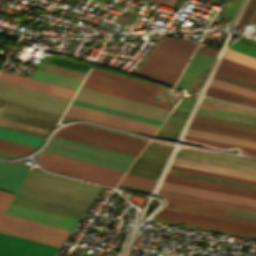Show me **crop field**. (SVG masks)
I'll list each match as a JSON object with an SVG mask.
<instances>
[{
    "mask_svg": "<svg viewBox=\"0 0 256 256\" xmlns=\"http://www.w3.org/2000/svg\"><path fill=\"white\" fill-rule=\"evenodd\" d=\"M214 57L196 51L187 69L183 73L177 87L187 90L192 83L211 64Z\"/></svg>",
    "mask_w": 256,
    "mask_h": 256,
    "instance_id": "92a150f3",
    "label": "crop field"
},
{
    "mask_svg": "<svg viewBox=\"0 0 256 256\" xmlns=\"http://www.w3.org/2000/svg\"><path fill=\"white\" fill-rule=\"evenodd\" d=\"M215 74L256 86V69L221 58Z\"/></svg>",
    "mask_w": 256,
    "mask_h": 256,
    "instance_id": "bc2a9ffb",
    "label": "crop field"
},
{
    "mask_svg": "<svg viewBox=\"0 0 256 256\" xmlns=\"http://www.w3.org/2000/svg\"><path fill=\"white\" fill-rule=\"evenodd\" d=\"M189 128H191V129H197V130H203V131H208V132H214V133H220V134H226V135H231V136H236V137H241V138H245V139H250V140H255V141H256V138L245 137V136L236 135V134H231V133L222 132V131H217V130H213V129L200 128V127H193V126H190Z\"/></svg>",
    "mask_w": 256,
    "mask_h": 256,
    "instance_id": "c035e120",
    "label": "crop field"
},
{
    "mask_svg": "<svg viewBox=\"0 0 256 256\" xmlns=\"http://www.w3.org/2000/svg\"><path fill=\"white\" fill-rule=\"evenodd\" d=\"M196 113L256 125V120H253V119L237 117V116H232V115H227V114H221V113H216V112H211V111H205V110H200V109H198Z\"/></svg>",
    "mask_w": 256,
    "mask_h": 256,
    "instance_id": "5866460e",
    "label": "crop field"
},
{
    "mask_svg": "<svg viewBox=\"0 0 256 256\" xmlns=\"http://www.w3.org/2000/svg\"><path fill=\"white\" fill-rule=\"evenodd\" d=\"M206 93L215 95V96H219V97H223V98H227V99H231V100H235V101H239V102H243V103L256 105V99H254V98L246 97L243 95H239L236 93L228 92V91L210 87V86L208 87Z\"/></svg>",
    "mask_w": 256,
    "mask_h": 256,
    "instance_id": "eef30255",
    "label": "crop field"
},
{
    "mask_svg": "<svg viewBox=\"0 0 256 256\" xmlns=\"http://www.w3.org/2000/svg\"><path fill=\"white\" fill-rule=\"evenodd\" d=\"M175 1H176V0H167V2L165 3V5L172 7V5L174 4Z\"/></svg>",
    "mask_w": 256,
    "mask_h": 256,
    "instance_id": "d23c7cc5",
    "label": "crop field"
},
{
    "mask_svg": "<svg viewBox=\"0 0 256 256\" xmlns=\"http://www.w3.org/2000/svg\"><path fill=\"white\" fill-rule=\"evenodd\" d=\"M32 78L37 79V80L47 81L50 83H54V84L68 87V88L75 89V90H77L78 86L81 83V80L45 72V71L38 70V69H36Z\"/></svg>",
    "mask_w": 256,
    "mask_h": 256,
    "instance_id": "a9b5d70f",
    "label": "crop field"
},
{
    "mask_svg": "<svg viewBox=\"0 0 256 256\" xmlns=\"http://www.w3.org/2000/svg\"><path fill=\"white\" fill-rule=\"evenodd\" d=\"M229 48L256 58V48L235 41Z\"/></svg>",
    "mask_w": 256,
    "mask_h": 256,
    "instance_id": "e1f06a70",
    "label": "crop field"
},
{
    "mask_svg": "<svg viewBox=\"0 0 256 256\" xmlns=\"http://www.w3.org/2000/svg\"><path fill=\"white\" fill-rule=\"evenodd\" d=\"M27 171V168L0 161V188L15 192Z\"/></svg>",
    "mask_w": 256,
    "mask_h": 256,
    "instance_id": "dafd665d",
    "label": "crop field"
},
{
    "mask_svg": "<svg viewBox=\"0 0 256 256\" xmlns=\"http://www.w3.org/2000/svg\"><path fill=\"white\" fill-rule=\"evenodd\" d=\"M0 81L12 83L15 85L31 88L34 90L50 93L53 95H57V96H61L69 99H71V97L75 93V90L63 88L60 86L48 84L41 81H31L26 78L15 77V76H11L1 72H0Z\"/></svg>",
    "mask_w": 256,
    "mask_h": 256,
    "instance_id": "214f88e0",
    "label": "crop field"
},
{
    "mask_svg": "<svg viewBox=\"0 0 256 256\" xmlns=\"http://www.w3.org/2000/svg\"><path fill=\"white\" fill-rule=\"evenodd\" d=\"M198 51L204 52V53L212 55V56H215V54L217 52V50L202 47V46H199Z\"/></svg>",
    "mask_w": 256,
    "mask_h": 256,
    "instance_id": "c21b1889",
    "label": "crop field"
},
{
    "mask_svg": "<svg viewBox=\"0 0 256 256\" xmlns=\"http://www.w3.org/2000/svg\"><path fill=\"white\" fill-rule=\"evenodd\" d=\"M155 180L125 174L120 182L151 189Z\"/></svg>",
    "mask_w": 256,
    "mask_h": 256,
    "instance_id": "d32e631a",
    "label": "crop field"
},
{
    "mask_svg": "<svg viewBox=\"0 0 256 256\" xmlns=\"http://www.w3.org/2000/svg\"><path fill=\"white\" fill-rule=\"evenodd\" d=\"M18 193L38 197L41 199L61 203L64 205L80 208L86 210L88 205L91 203L90 200L62 194V193H57L29 185L22 184L20 189L18 190Z\"/></svg>",
    "mask_w": 256,
    "mask_h": 256,
    "instance_id": "733c2abd",
    "label": "crop field"
},
{
    "mask_svg": "<svg viewBox=\"0 0 256 256\" xmlns=\"http://www.w3.org/2000/svg\"><path fill=\"white\" fill-rule=\"evenodd\" d=\"M0 138L35 146V147L40 146L45 141V138L21 133L18 131H14V130L2 128V127H0Z\"/></svg>",
    "mask_w": 256,
    "mask_h": 256,
    "instance_id": "4177f3b9",
    "label": "crop field"
},
{
    "mask_svg": "<svg viewBox=\"0 0 256 256\" xmlns=\"http://www.w3.org/2000/svg\"><path fill=\"white\" fill-rule=\"evenodd\" d=\"M11 197H12V194L0 192V200H4V201H8L9 202Z\"/></svg>",
    "mask_w": 256,
    "mask_h": 256,
    "instance_id": "03da06ac",
    "label": "crop field"
},
{
    "mask_svg": "<svg viewBox=\"0 0 256 256\" xmlns=\"http://www.w3.org/2000/svg\"><path fill=\"white\" fill-rule=\"evenodd\" d=\"M0 232L60 247L69 231L3 215Z\"/></svg>",
    "mask_w": 256,
    "mask_h": 256,
    "instance_id": "5a996713",
    "label": "crop field"
},
{
    "mask_svg": "<svg viewBox=\"0 0 256 256\" xmlns=\"http://www.w3.org/2000/svg\"><path fill=\"white\" fill-rule=\"evenodd\" d=\"M43 152L125 172L135 156L52 136Z\"/></svg>",
    "mask_w": 256,
    "mask_h": 256,
    "instance_id": "ac0d7876",
    "label": "crop field"
},
{
    "mask_svg": "<svg viewBox=\"0 0 256 256\" xmlns=\"http://www.w3.org/2000/svg\"><path fill=\"white\" fill-rule=\"evenodd\" d=\"M184 138L192 140V141H196V142H199V143H203V144H206V145H210V146H213V147H217V148H233V147H238V148L241 149L242 153L248 154V155H252V156H256V149L242 147V146H237V145H231V144H226V143H221V142H215V141H210V140H205V139L187 137V136H185Z\"/></svg>",
    "mask_w": 256,
    "mask_h": 256,
    "instance_id": "ae1a2a85",
    "label": "crop field"
},
{
    "mask_svg": "<svg viewBox=\"0 0 256 256\" xmlns=\"http://www.w3.org/2000/svg\"><path fill=\"white\" fill-rule=\"evenodd\" d=\"M72 103L77 104V105H81V106H85V107H89V108H93V109H96V110L104 111V112H107V113L127 117V118H130V119H134V120H138V121L158 125V126H160V124H161L160 122H157V121H153V120H149V119H145V118H141V117L121 113V112H118V111H114V110H110V109H106V108H102V107H98V106H94V105H90V104H86V103H82V102H78V101H74V100L72 101Z\"/></svg>",
    "mask_w": 256,
    "mask_h": 256,
    "instance_id": "750c4746",
    "label": "crop field"
},
{
    "mask_svg": "<svg viewBox=\"0 0 256 256\" xmlns=\"http://www.w3.org/2000/svg\"><path fill=\"white\" fill-rule=\"evenodd\" d=\"M82 102L118 110L121 112L157 120L163 122L169 109L160 108L88 89H79L77 95L74 98Z\"/></svg>",
    "mask_w": 256,
    "mask_h": 256,
    "instance_id": "e52e79f7",
    "label": "crop field"
},
{
    "mask_svg": "<svg viewBox=\"0 0 256 256\" xmlns=\"http://www.w3.org/2000/svg\"><path fill=\"white\" fill-rule=\"evenodd\" d=\"M0 149L25 155L36 148L0 139Z\"/></svg>",
    "mask_w": 256,
    "mask_h": 256,
    "instance_id": "bd1437ed",
    "label": "crop field"
},
{
    "mask_svg": "<svg viewBox=\"0 0 256 256\" xmlns=\"http://www.w3.org/2000/svg\"><path fill=\"white\" fill-rule=\"evenodd\" d=\"M210 86L218 87L221 89L229 90L232 92H236L239 94H243V95H247V96L256 98L255 91L248 90V89L236 86V85H232V84H229V83H226V82L214 79V78L212 79Z\"/></svg>",
    "mask_w": 256,
    "mask_h": 256,
    "instance_id": "d3111659",
    "label": "crop field"
},
{
    "mask_svg": "<svg viewBox=\"0 0 256 256\" xmlns=\"http://www.w3.org/2000/svg\"><path fill=\"white\" fill-rule=\"evenodd\" d=\"M252 20L256 21V12H255V14L252 17Z\"/></svg>",
    "mask_w": 256,
    "mask_h": 256,
    "instance_id": "25e5ab78",
    "label": "crop field"
},
{
    "mask_svg": "<svg viewBox=\"0 0 256 256\" xmlns=\"http://www.w3.org/2000/svg\"><path fill=\"white\" fill-rule=\"evenodd\" d=\"M196 118H201V119H206V120H211V119H207V118H202V117H197V116H194ZM211 121H216V120H211ZM217 122H221V121H217ZM222 123H226V122H222ZM227 124H231V123H227ZM232 125H235V124H232ZM237 126H240V125H237ZM242 127H245V126H242ZM247 128H252V127H247ZM253 129H256V128H253Z\"/></svg>",
    "mask_w": 256,
    "mask_h": 256,
    "instance_id": "5d738f31",
    "label": "crop field"
},
{
    "mask_svg": "<svg viewBox=\"0 0 256 256\" xmlns=\"http://www.w3.org/2000/svg\"><path fill=\"white\" fill-rule=\"evenodd\" d=\"M171 169H176V170H181L193 174H199V175H205V176H211V177H217V178H223V179H229V180H234V181H239V182H244V183H249V184H254L256 185L255 181H250V180H245V179H240V178H235L231 176H226V175H221V174H216V173H211V172H205V171H199V170H194V169H189V168H183V167H178V166H170Z\"/></svg>",
    "mask_w": 256,
    "mask_h": 256,
    "instance_id": "1d83c4d3",
    "label": "crop field"
},
{
    "mask_svg": "<svg viewBox=\"0 0 256 256\" xmlns=\"http://www.w3.org/2000/svg\"><path fill=\"white\" fill-rule=\"evenodd\" d=\"M55 135L135 156L138 155L146 144L144 140L80 124L68 125L56 132Z\"/></svg>",
    "mask_w": 256,
    "mask_h": 256,
    "instance_id": "dd49c442",
    "label": "crop field"
},
{
    "mask_svg": "<svg viewBox=\"0 0 256 256\" xmlns=\"http://www.w3.org/2000/svg\"><path fill=\"white\" fill-rule=\"evenodd\" d=\"M25 184L93 200L101 187L31 169Z\"/></svg>",
    "mask_w": 256,
    "mask_h": 256,
    "instance_id": "3316defc",
    "label": "crop field"
},
{
    "mask_svg": "<svg viewBox=\"0 0 256 256\" xmlns=\"http://www.w3.org/2000/svg\"><path fill=\"white\" fill-rule=\"evenodd\" d=\"M171 164L194 168V169H199V170L211 171V172H216V173H221V174H226V175H231V176H235V177H240V178H245V179H250V180L256 181V174H252V173H246V172H241V171L213 167V166H209V165H205V164H201V163L183 161V160H179V159H175V158L173 159Z\"/></svg>",
    "mask_w": 256,
    "mask_h": 256,
    "instance_id": "00972430",
    "label": "crop field"
},
{
    "mask_svg": "<svg viewBox=\"0 0 256 256\" xmlns=\"http://www.w3.org/2000/svg\"><path fill=\"white\" fill-rule=\"evenodd\" d=\"M223 57H226L228 59L237 61L239 63L251 66L253 68H256V59L255 58L246 56L244 54H241V53H238L236 51L230 50L228 48L225 50V52L223 54Z\"/></svg>",
    "mask_w": 256,
    "mask_h": 256,
    "instance_id": "120bbe31",
    "label": "crop field"
},
{
    "mask_svg": "<svg viewBox=\"0 0 256 256\" xmlns=\"http://www.w3.org/2000/svg\"><path fill=\"white\" fill-rule=\"evenodd\" d=\"M44 70L69 76V77H73V78H77V79H81V80H83L85 76V73H81V72H77V71H73V70H69V69H65V68H61V67H57L49 64H47Z\"/></svg>",
    "mask_w": 256,
    "mask_h": 256,
    "instance_id": "028f5c9d",
    "label": "crop field"
},
{
    "mask_svg": "<svg viewBox=\"0 0 256 256\" xmlns=\"http://www.w3.org/2000/svg\"><path fill=\"white\" fill-rule=\"evenodd\" d=\"M48 171L114 188L122 172L41 152L37 161Z\"/></svg>",
    "mask_w": 256,
    "mask_h": 256,
    "instance_id": "f4fd0767",
    "label": "crop field"
},
{
    "mask_svg": "<svg viewBox=\"0 0 256 256\" xmlns=\"http://www.w3.org/2000/svg\"><path fill=\"white\" fill-rule=\"evenodd\" d=\"M8 202L0 201V216L4 212L5 208L7 207Z\"/></svg>",
    "mask_w": 256,
    "mask_h": 256,
    "instance_id": "b54c1fbb",
    "label": "crop field"
},
{
    "mask_svg": "<svg viewBox=\"0 0 256 256\" xmlns=\"http://www.w3.org/2000/svg\"><path fill=\"white\" fill-rule=\"evenodd\" d=\"M175 157L197 161V162H201V163H205L213 166H219L224 168L256 173V162L248 161V160H242V159L226 157L221 155H214V154L181 151V150L177 151Z\"/></svg>",
    "mask_w": 256,
    "mask_h": 256,
    "instance_id": "d9b57169",
    "label": "crop field"
},
{
    "mask_svg": "<svg viewBox=\"0 0 256 256\" xmlns=\"http://www.w3.org/2000/svg\"><path fill=\"white\" fill-rule=\"evenodd\" d=\"M163 40H166V41H169L171 43H174V44H177V45H181V46H184V47L192 48V49H194L195 46H196V44L184 42V41H181L179 39L168 37V36H164V35H163Z\"/></svg>",
    "mask_w": 256,
    "mask_h": 256,
    "instance_id": "b80d0937",
    "label": "crop field"
},
{
    "mask_svg": "<svg viewBox=\"0 0 256 256\" xmlns=\"http://www.w3.org/2000/svg\"><path fill=\"white\" fill-rule=\"evenodd\" d=\"M160 188L256 207V199L243 197V196H237V195L214 192V191L203 190L198 188L180 186V185H175V184H170L165 182L162 183Z\"/></svg>",
    "mask_w": 256,
    "mask_h": 256,
    "instance_id": "4a817a6b",
    "label": "crop field"
},
{
    "mask_svg": "<svg viewBox=\"0 0 256 256\" xmlns=\"http://www.w3.org/2000/svg\"><path fill=\"white\" fill-rule=\"evenodd\" d=\"M194 122H200V123H205V124H210V125H216V126H221V127H226V128H232V129H237V130H242V131H248V132H253L256 133V130L253 129H247V128H242V127H237V126H232V125H227V124H222V123H217V122H211V121H206V120H201V119H193Z\"/></svg>",
    "mask_w": 256,
    "mask_h": 256,
    "instance_id": "0bd39190",
    "label": "crop field"
},
{
    "mask_svg": "<svg viewBox=\"0 0 256 256\" xmlns=\"http://www.w3.org/2000/svg\"><path fill=\"white\" fill-rule=\"evenodd\" d=\"M81 87L172 109L173 106L152 101L158 85L91 69Z\"/></svg>",
    "mask_w": 256,
    "mask_h": 256,
    "instance_id": "34b2d1b8",
    "label": "crop field"
},
{
    "mask_svg": "<svg viewBox=\"0 0 256 256\" xmlns=\"http://www.w3.org/2000/svg\"><path fill=\"white\" fill-rule=\"evenodd\" d=\"M151 1L157 2L162 5H164V3L166 2V0H151Z\"/></svg>",
    "mask_w": 256,
    "mask_h": 256,
    "instance_id": "425ffa30",
    "label": "crop field"
},
{
    "mask_svg": "<svg viewBox=\"0 0 256 256\" xmlns=\"http://www.w3.org/2000/svg\"><path fill=\"white\" fill-rule=\"evenodd\" d=\"M12 208V210H9ZM5 214L21 217L24 219L36 221L39 223L55 226L58 228L66 229L72 231L76 223L78 222L77 219L17 205L10 203Z\"/></svg>",
    "mask_w": 256,
    "mask_h": 256,
    "instance_id": "5142ce71",
    "label": "crop field"
},
{
    "mask_svg": "<svg viewBox=\"0 0 256 256\" xmlns=\"http://www.w3.org/2000/svg\"><path fill=\"white\" fill-rule=\"evenodd\" d=\"M65 115L89 121L93 120L110 126L141 132L145 134H153L155 130L158 128L157 126H153L150 124L130 120L127 118L107 114L104 112L92 110L89 108L73 104H70Z\"/></svg>",
    "mask_w": 256,
    "mask_h": 256,
    "instance_id": "22f410ed",
    "label": "crop field"
},
{
    "mask_svg": "<svg viewBox=\"0 0 256 256\" xmlns=\"http://www.w3.org/2000/svg\"><path fill=\"white\" fill-rule=\"evenodd\" d=\"M155 218L177 221L197 226L235 232L245 235L256 236V226L238 222L223 220L214 217L185 213L162 208L155 215Z\"/></svg>",
    "mask_w": 256,
    "mask_h": 256,
    "instance_id": "28ad6ade",
    "label": "crop field"
},
{
    "mask_svg": "<svg viewBox=\"0 0 256 256\" xmlns=\"http://www.w3.org/2000/svg\"><path fill=\"white\" fill-rule=\"evenodd\" d=\"M166 175L256 192V186H254V185H249V184H244V183H239V182H234V181H229V180H223V179H217V178H211V177H205V176H199V175H193V174L176 171V170H171V169L168 170ZM168 176L165 177V179H164L165 182L193 186V187H198V188H204V189H209V190H214V191H220V192H226V193L256 198V193L242 191V190H236V189H231V188H226V187H221V186H215V185H210V184H205V183H200V182H194V181H189V180H184V179H179V178H173V177H168Z\"/></svg>",
    "mask_w": 256,
    "mask_h": 256,
    "instance_id": "d1516ede",
    "label": "crop field"
},
{
    "mask_svg": "<svg viewBox=\"0 0 256 256\" xmlns=\"http://www.w3.org/2000/svg\"><path fill=\"white\" fill-rule=\"evenodd\" d=\"M186 135L256 148L255 141L243 140V139L227 137V136H222V135H217V134H212V133H207V132H201V131H196V130H191V129H188Z\"/></svg>",
    "mask_w": 256,
    "mask_h": 256,
    "instance_id": "730fd06b",
    "label": "crop field"
},
{
    "mask_svg": "<svg viewBox=\"0 0 256 256\" xmlns=\"http://www.w3.org/2000/svg\"><path fill=\"white\" fill-rule=\"evenodd\" d=\"M58 247L0 233V256H54Z\"/></svg>",
    "mask_w": 256,
    "mask_h": 256,
    "instance_id": "cbeb9de0",
    "label": "crop field"
},
{
    "mask_svg": "<svg viewBox=\"0 0 256 256\" xmlns=\"http://www.w3.org/2000/svg\"><path fill=\"white\" fill-rule=\"evenodd\" d=\"M192 49L157 41L136 73L173 85Z\"/></svg>",
    "mask_w": 256,
    "mask_h": 256,
    "instance_id": "412701ff",
    "label": "crop field"
},
{
    "mask_svg": "<svg viewBox=\"0 0 256 256\" xmlns=\"http://www.w3.org/2000/svg\"><path fill=\"white\" fill-rule=\"evenodd\" d=\"M0 100L62 115L69 99L0 82Z\"/></svg>",
    "mask_w": 256,
    "mask_h": 256,
    "instance_id": "d8731c3e",
    "label": "crop field"
},
{
    "mask_svg": "<svg viewBox=\"0 0 256 256\" xmlns=\"http://www.w3.org/2000/svg\"><path fill=\"white\" fill-rule=\"evenodd\" d=\"M165 208L209 215L247 224H256V208L158 190Z\"/></svg>",
    "mask_w": 256,
    "mask_h": 256,
    "instance_id": "8a807250",
    "label": "crop field"
}]
</instances>
